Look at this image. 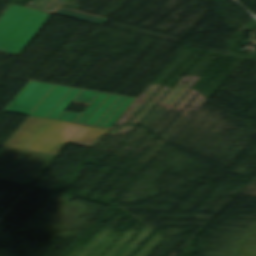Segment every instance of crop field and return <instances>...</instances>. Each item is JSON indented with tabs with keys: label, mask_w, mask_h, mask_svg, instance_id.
I'll use <instances>...</instances> for the list:
<instances>
[{
	"label": "crop field",
	"mask_w": 256,
	"mask_h": 256,
	"mask_svg": "<svg viewBox=\"0 0 256 256\" xmlns=\"http://www.w3.org/2000/svg\"><path fill=\"white\" fill-rule=\"evenodd\" d=\"M107 130L29 116L4 146L57 155L67 142L93 148Z\"/></svg>",
	"instance_id": "1"
},
{
	"label": "crop field",
	"mask_w": 256,
	"mask_h": 256,
	"mask_svg": "<svg viewBox=\"0 0 256 256\" xmlns=\"http://www.w3.org/2000/svg\"><path fill=\"white\" fill-rule=\"evenodd\" d=\"M134 100V98L83 90L74 101L90 104L85 112L81 114L63 112L57 120L110 128Z\"/></svg>",
	"instance_id": "4"
},
{
	"label": "crop field",
	"mask_w": 256,
	"mask_h": 256,
	"mask_svg": "<svg viewBox=\"0 0 256 256\" xmlns=\"http://www.w3.org/2000/svg\"><path fill=\"white\" fill-rule=\"evenodd\" d=\"M50 14L11 4L0 18V51L18 54Z\"/></svg>",
	"instance_id": "3"
},
{
	"label": "crop field",
	"mask_w": 256,
	"mask_h": 256,
	"mask_svg": "<svg viewBox=\"0 0 256 256\" xmlns=\"http://www.w3.org/2000/svg\"><path fill=\"white\" fill-rule=\"evenodd\" d=\"M81 91L31 81L4 111L56 120Z\"/></svg>",
	"instance_id": "2"
},
{
	"label": "crop field",
	"mask_w": 256,
	"mask_h": 256,
	"mask_svg": "<svg viewBox=\"0 0 256 256\" xmlns=\"http://www.w3.org/2000/svg\"><path fill=\"white\" fill-rule=\"evenodd\" d=\"M68 0H33L32 3L28 6L29 8L49 12V13H56L96 24L103 25L107 19L67 10L60 8L64 3Z\"/></svg>",
	"instance_id": "5"
}]
</instances>
